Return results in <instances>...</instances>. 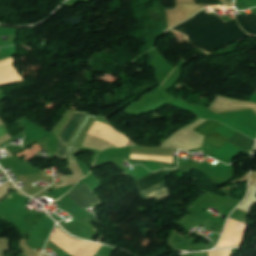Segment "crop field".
<instances>
[{
    "label": "crop field",
    "instance_id": "1",
    "mask_svg": "<svg viewBox=\"0 0 256 256\" xmlns=\"http://www.w3.org/2000/svg\"><path fill=\"white\" fill-rule=\"evenodd\" d=\"M171 29L183 34L192 46L207 52L220 49L248 36L236 20L226 23L218 16L203 10Z\"/></svg>",
    "mask_w": 256,
    "mask_h": 256
},
{
    "label": "crop field",
    "instance_id": "2",
    "mask_svg": "<svg viewBox=\"0 0 256 256\" xmlns=\"http://www.w3.org/2000/svg\"><path fill=\"white\" fill-rule=\"evenodd\" d=\"M166 176H168V175L163 170H161V171H157L151 175H148V176L136 181V183L139 187L140 192H142L146 189H149L153 186H156L158 184L165 182ZM165 184H166V182L161 185H158L154 188L146 190V191L142 192L141 194H143L145 197H147L151 200H153L155 198L160 200L162 198L168 197L171 194H170L169 190L166 188Z\"/></svg>",
    "mask_w": 256,
    "mask_h": 256
},
{
    "label": "crop field",
    "instance_id": "3",
    "mask_svg": "<svg viewBox=\"0 0 256 256\" xmlns=\"http://www.w3.org/2000/svg\"><path fill=\"white\" fill-rule=\"evenodd\" d=\"M88 135L107 140L117 147L126 146L128 139L115 131L111 126L95 121Z\"/></svg>",
    "mask_w": 256,
    "mask_h": 256
},
{
    "label": "crop field",
    "instance_id": "4",
    "mask_svg": "<svg viewBox=\"0 0 256 256\" xmlns=\"http://www.w3.org/2000/svg\"><path fill=\"white\" fill-rule=\"evenodd\" d=\"M81 208L99 203L94 193L84 184L68 194Z\"/></svg>",
    "mask_w": 256,
    "mask_h": 256
},
{
    "label": "crop field",
    "instance_id": "5",
    "mask_svg": "<svg viewBox=\"0 0 256 256\" xmlns=\"http://www.w3.org/2000/svg\"><path fill=\"white\" fill-rule=\"evenodd\" d=\"M86 113L76 112L74 116L71 118V120L68 122L67 126L63 130V132L60 134L59 138L61 141H63L65 144L69 141L70 137L78 127L80 121L82 120L83 116Z\"/></svg>",
    "mask_w": 256,
    "mask_h": 256
},
{
    "label": "crop field",
    "instance_id": "6",
    "mask_svg": "<svg viewBox=\"0 0 256 256\" xmlns=\"http://www.w3.org/2000/svg\"><path fill=\"white\" fill-rule=\"evenodd\" d=\"M23 80V77L14 67V65L0 69V85Z\"/></svg>",
    "mask_w": 256,
    "mask_h": 256
},
{
    "label": "crop field",
    "instance_id": "7",
    "mask_svg": "<svg viewBox=\"0 0 256 256\" xmlns=\"http://www.w3.org/2000/svg\"><path fill=\"white\" fill-rule=\"evenodd\" d=\"M240 26L250 35L256 36V15H237L235 16Z\"/></svg>",
    "mask_w": 256,
    "mask_h": 256
},
{
    "label": "crop field",
    "instance_id": "8",
    "mask_svg": "<svg viewBox=\"0 0 256 256\" xmlns=\"http://www.w3.org/2000/svg\"><path fill=\"white\" fill-rule=\"evenodd\" d=\"M254 142V140L243 136L239 132L228 141V143L248 152H252Z\"/></svg>",
    "mask_w": 256,
    "mask_h": 256
},
{
    "label": "crop field",
    "instance_id": "9",
    "mask_svg": "<svg viewBox=\"0 0 256 256\" xmlns=\"http://www.w3.org/2000/svg\"><path fill=\"white\" fill-rule=\"evenodd\" d=\"M227 140L228 138L213 132L208 135L205 143L220 149Z\"/></svg>",
    "mask_w": 256,
    "mask_h": 256
},
{
    "label": "crop field",
    "instance_id": "10",
    "mask_svg": "<svg viewBox=\"0 0 256 256\" xmlns=\"http://www.w3.org/2000/svg\"><path fill=\"white\" fill-rule=\"evenodd\" d=\"M221 124L216 121H209L207 120L203 124H201L199 127H197L194 131L207 136L212 130L216 129Z\"/></svg>",
    "mask_w": 256,
    "mask_h": 256
},
{
    "label": "crop field",
    "instance_id": "11",
    "mask_svg": "<svg viewBox=\"0 0 256 256\" xmlns=\"http://www.w3.org/2000/svg\"><path fill=\"white\" fill-rule=\"evenodd\" d=\"M68 149V146H66L61 141L58 142V148H57V157L58 158H65L66 151Z\"/></svg>",
    "mask_w": 256,
    "mask_h": 256
},
{
    "label": "crop field",
    "instance_id": "12",
    "mask_svg": "<svg viewBox=\"0 0 256 256\" xmlns=\"http://www.w3.org/2000/svg\"><path fill=\"white\" fill-rule=\"evenodd\" d=\"M8 133L7 127L5 125L0 126V137Z\"/></svg>",
    "mask_w": 256,
    "mask_h": 256
},
{
    "label": "crop field",
    "instance_id": "13",
    "mask_svg": "<svg viewBox=\"0 0 256 256\" xmlns=\"http://www.w3.org/2000/svg\"><path fill=\"white\" fill-rule=\"evenodd\" d=\"M88 118H89V114H88L87 118L85 119L84 123L82 124L80 130L78 131L77 135L75 136L74 140L72 141L71 146H72L73 143L75 142L76 138H77L78 135H79V132H81V130H82V128H83V126H84V124H85V122H86V120H87Z\"/></svg>",
    "mask_w": 256,
    "mask_h": 256
},
{
    "label": "crop field",
    "instance_id": "14",
    "mask_svg": "<svg viewBox=\"0 0 256 256\" xmlns=\"http://www.w3.org/2000/svg\"><path fill=\"white\" fill-rule=\"evenodd\" d=\"M71 149H72V147L70 146V147H69V150H68V153H67V156H66V159H67V160L69 159ZM75 149H76V148H75ZM75 149H74V152H73L72 158H73V156H74ZM72 158H71V160H72Z\"/></svg>",
    "mask_w": 256,
    "mask_h": 256
}]
</instances>
